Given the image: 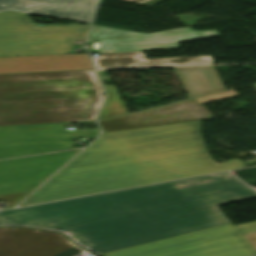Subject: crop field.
Listing matches in <instances>:
<instances>
[{"label": "crop field", "instance_id": "92a150f3", "mask_svg": "<svg viewBox=\"0 0 256 256\" xmlns=\"http://www.w3.org/2000/svg\"><path fill=\"white\" fill-rule=\"evenodd\" d=\"M70 237L73 238V239L76 240V241L80 240V239H78L76 236H74L72 233H71Z\"/></svg>", "mask_w": 256, "mask_h": 256}, {"label": "crop field", "instance_id": "5a996713", "mask_svg": "<svg viewBox=\"0 0 256 256\" xmlns=\"http://www.w3.org/2000/svg\"><path fill=\"white\" fill-rule=\"evenodd\" d=\"M85 253L63 235L28 228H0V256H76Z\"/></svg>", "mask_w": 256, "mask_h": 256}, {"label": "crop field", "instance_id": "d9b57169", "mask_svg": "<svg viewBox=\"0 0 256 256\" xmlns=\"http://www.w3.org/2000/svg\"><path fill=\"white\" fill-rule=\"evenodd\" d=\"M232 227H234V225L232 223H230V224H226L223 226H219V227H215V228H211V229H207V230H203V231H198V232H194V233H190V234H185V235H181V236H177V237H173V238H169V239H165V240H161V241H157V242H153V243H148V244H144V245H140V246L124 249V250L103 253L101 255L102 256H116V255H120V254H124V253H128V252H132V251H136V250H140V249H144V248H148V247H152V246H156V245H160V244H164V243H168V242H173V241H177V240H181V239H185V238H189V237H193V236H197V235H201V234H205V233H209V232H213V231L232 228Z\"/></svg>", "mask_w": 256, "mask_h": 256}, {"label": "crop field", "instance_id": "cbeb9de0", "mask_svg": "<svg viewBox=\"0 0 256 256\" xmlns=\"http://www.w3.org/2000/svg\"><path fill=\"white\" fill-rule=\"evenodd\" d=\"M174 71L189 99L225 90L215 68H175Z\"/></svg>", "mask_w": 256, "mask_h": 256}, {"label": "crop field", "instance_id": "34b2d1b8", "mask_svg": "<svg viewBox=\"0 0 256 256\" xmlns=\"http://www.w3.org/2000/svg\"><path fill=\"white\" fill-rule=\"evenodd\" d=\"M101 93L92 70L0 74V126L94 121Z\"/></svg>", "mask_w": 256, "mask_h": 256}, {"label": "crop field", "instance_id": "8a807250", "mask_svg": "<svg viewBox=\"0 0 256 256\" xmlns=\"http://www.w3.org/2000/svg\"><path fill=\"white\" fill-rule=\"evenodd\" d=\"M254 196L224 172L4 211L0 221L66 228L103 253L230 223L216 206Z\"/></svg>", "mask_w": 256, "mask_h": 256}, {"label": "crop field", "instance_id": "e52e79f7", "mask_svg": "<svg viewBox=\"0 0 256 256\" xmlns=\"http://www.w3.org/2000/svg\"><path fill=\"white\" fill-rule=\"evenodd\" d=\"M254 230L256 222L120 256H247L256 252L240 233Z\"/></svg>", "mask_w": 256, "mask_h": 256}, {"label": "crop field", "instance_id": "5142ce71", "mask_svg": "<svg viewBox=\"0 0 256 256\" xmlns=\"http://www.w3.org/2000/svg\"><path fill=\"white\" fill-rule=\"evenodd\" d=\"M104 86L107 90L108 96L106 99V104L98 120L127 114L128 111L124 106L121 98L119 97L114 85H104Z\"/></svg>", "mask_w": 256, "mask_h": 256}, {"label": "crop field", "instance_id": "3316defc", "mask_svg": "<svg viewBox=\"0 0 256 256\" xmlns=\"http://www.w3.org/2000/svg\"><path fill=\"white\" fill-rule=\"evenodd\" d=\"M195 99L100 121L104 132L170 125L213 119Z\"/></svg>", "mask_w": 256, "mask_h": 256}, {"label": "crop field", "instance_id": "d8731c3e", "mask_svg": "<svg viewBox=\"0 0 256 256\" xmlns=\"http://www.w3.org/2000/svg\"><path fill=\"white\" fill-rule=\"evenodd\" d=\"M220 35L217 30L193 31L191 27L144 34L92 26L88 41L100 40L99 52L177 48L178 42Z\"/></svg>", "mask_w": 256, "mask_h": 256}, {"label": "crop field", "instance_id": "ac0d7876", "mask_svg": "<svg viewBox=\"0 0 256 256\" xmlns=\"http://www.w3.org/2000/svg\"><path fill=\"white\" fill-rule=\"evenodd\" d=\"M244 167L210 157L201 121L109 132L19 206Z\"/></svg>", "mask_w": 256, "mask_h": 256}, {"label": "crop field", "instance_id": "f4fd0767", "mask_svg": "<svg viewBox=\"0 0 256 256\" xmlns=\"http://www.w3.org/2000/svg\"><path fill=\"white\" fill-rule=\"evenodd\" d=\"M99 133L67 131L63 124L0 127V159L74 148L73 140L94 139Z\"/></svg>", "mask_w": 256, "mask_h": 256}, {"label": "crop field", "instance_id": "4a817a6b", "mask_svg": "<svg viewBox=\"0 0 256 256\" xmlns=\"http://www.w3.org/2000/svg\"><path fill=\"white\" fill-rule=\"evenodd\" d=\"M242 235L256 251V231L249 232V233H243Z\"/></svg>", "mask_w": 256, "mask_h": 256}, {"label": "crop field", "instance_id": "dafd665d", "mask_svg": "<svg viewBox=\"0 0 256 256\" xmlns=\"http://www.w3.org/2000/svg\"><path fill=\"white\" fill-rule=\"evenodd\" d=\"M256 85V84H255Z\"/></svg>", "mask_w": 256, "mask_h": 256}, {"label": "crop field", "instance_id": "214f88e0", "mask_svg": "<svg viewBox=\"0 0 256 256\" xmlns=\"http://www.w3.org/2000/svg\"><path fill=\"white\" fill-rule=\"evenodd\" d=\"M0 224H4V225H31V224H27V223H23V222H17V221H2L0 222ZM34 226V225H31ZM40 227V226H37ZM44 228H48V227H44ZM53 229V228H50ZM54 230H62V231H67L65 229H54Z\"/></svg>", "mask_w": 256, "mask_h": 256}, {"label": "crop field", "instance_id": "412701ff", "mask_svg": "<svg viewBox=\"0 0 256 256\" xmlns=\"http://www.w3.org/2000/svg\"><path fill=\"white\" fill-rule=\"evenodd\" d=\"M89 26L35 27L28 15L0 13V57L68 54Z\"/></svg>", "mask_w": 256, "mask_h": 256}, {"label": "crop field", "instance_id": "733c2abd", "mask_svg": "<svg viewBox=\"0 0 256 256\" xmlns=\"http://www.w3.org/2000/svg\"><path fill=\"white\" fill-rule=\"evenodd\" d=\"M238 94L234 91H227V92H223V93H218V94H214V95H210V96H205V97H201V98H197L196 100L199 101L201 104L204 103H208V102H212V101H216V100H220V99H225V98H229V97H233V96H237Z\"/></svg>", "mask_w": 256, "mask_h": 256}, {"label": "crop field", "instance_id": "dd49c442", "mask_svg": "<svg viewBox=\"0 0 256 256\" xmlns=\"http://www.w3.org/2000/svg\"><path fill=\"white\" fill-rule=\"evenodd\" d=\"M80 150L0 161V200L14 207Z\"/></svg>", "mask_w": 256, "mask_h": 256}, {"label": "crop field", "instance_id": "bc2a9ffb", "mask_svg": "<svg viewBox=\"0 0 256 256\" xmlns=\"http://www.w3.org/2000/svg\"><path fill=\"white\" fill-rule=\"evenodd\" d=\"M126 1H131V2H135V3H139V4H148V5L154 6L164 0H126Z\"/></svg>", "mask_w": 256, "mask_h": 256}, {"label": "crop field", "instance_id": "28ad6ade", "mask_svg": "<svg viewBox=\"0 0 256 256\" xmlns=\"http://www.w3.org/2000/svg\"><path fill=\"white\" fill-rule=\"evenodd\" d=\"M97 0H0V12L14 11L90 24Z\"/></svg>", "mask_w": 256, "mask_h": 256}, {"label": "crop field", "instance_id": "22f410ed", "mask_svg": "<svg viewBox=\"0 0 256 256\" xmlns=\"http://www.w3.org/2000/svg\"><path fill=\"white\" fill-rule=\"evenodd\" d=\"M96 69L212 64L211 56L146 59L143 51L100 53Z\"/></svg>", "mask_w": 256, "mask_h": 256}, {"label": "crop field", "instance_id": "d1516ede", "mask_svg": "<svg viewBox=\"0 0 256 256\" xmlns=\"http://www.w3.org/2000/svg\"><path fill=\"white\" fill-rule=\"evenodd\" d=\"M92 69L86 54L0 58V73Z\"/></svg>", "mask_w": 256, "mask_h": 256}]
</instances>
